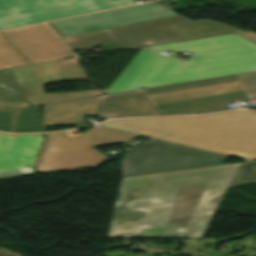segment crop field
Listing matches in <instances>:
<instances>
[{
	"label": "crop field",
	"instance_id": "f4fd0767",
	"mask_svg": "<svg viewBox=\"0 0 256 256\" xmlns=\"http://www.w3.org/2000/svg\"><path fill=\"white\" fill-rule=\"evenodd\" d=\"M72 50L117 42L122 49L142 45L191 39L241 31L233 26L207 19L193 21L180 15L65 38L52 22L48 23Z\"/></svg>",
	"mask_w": 256,
	"mask_h": 256
},
{
	"label": "crop field",
	"instance_id": "412701ff",
	"mask_svg": "<svg viewBox=\"0 0 256 256\" xmlns=\"http://www.w3.org/2000/svg\"><path fill=\"white\" fill-rule=\"evenodd\" d=\"M100 125L237 157L256 159V113L113 120Z\"/></svg>",
	"mask_w": 256,
	"mask_h": 256
},
{
	"label": "crop field",
	"instance_id": "34b2d1b8",
	"mask_svg": "<svg viewBox=\"0 0 256 256\" xmlns=\"http://www.w3.org/2000/svg\"><path fill=\"white\" fill-rule=\"evenodd\" d=\"M149 48L197 54L182 61L142 49L105 94L256 71V45L235 34Z\"/></svg>",
	"mask_w": 256,
	"mask_h": 256
},
{
	"label": "crop field",
	"instance_id": "22f410ed",
	"mask_svg": "<svg viewBox=\"0 0 256 256\" xmlns=\"http://www.w3.org/2000/svg\"><path fill=\"white\" fill-rule=\"evenodd\" d=\"M252 182H256V163L247 161L239 167L230 187Z\"/></svg>",
	"mask_w": 256,
	"mask_h": 256
},
{
	"label": "crop field",
	"instance_id": "e52e79f7",
	"mask_svg": "<svg viewBox=\"0 0 256 256\" xmlns=\"http://www.w3.org/2000/svg\"><path fill=\"white\" fill-rule=\"evenodd\" d=\"M139 136L95 126L74 138L64 132L46 134L35 165L37 174L97 167L109 160L93 146L133 141Z\"/></svg>",
	"mask_w": 256,
	"mask_h": 256
},
{
	"label": "crop field",
	"instance_id": "8a807250",
	"mask_svg": "<svg viewBox=\"0 0 256 256\" xmlns=\"http://www.w3.org/2000/svg\"><path fill=\"white\" fill-rule=\"evenodd\" d=\"M241 164L122 178L108 237H203Z\"/></svg>",
	"mask_w": 256,
	"mask_h": 256
},
{
	"label": "crop field",
	"instance_id": "28ad6ade",
	"mask_svg": "<svg viewBox=\"0 0 256 256\" xmlns=\"http://www.w3.org/2000/svg\"><path fill=\"white\" fill-rule=\"evenodd\" d=\"M44 134L6 135L0 133V179L33 175V165Z\"/></svg>",
	"mask_w": 256,
	"mask_h": 256
},
{
	"label": "crop field",
	"instance_id": "5142ce71",
	"mask_svg": "<svg viewBox=\"0 0 256 256\" xmlns=\"http://www.w3.org/2000/svg\"><path fill=\"white\" fill-rule=\"evenodd\" d=\"M253 239H255V240H256V237H253Z\"/></svg>",
	"mask_w": 256,
	"mask_h": 256
},
{
	"label": "crop field",
	"instance_id": "dd49c442",
	"mask_svg": "<svg viewBox=\"0 0 256 256\" xmlns=\"http://www.w3.org/2000/svg\"><path fill=\"white\" fill-rule=\"evenodd\" d=\"M86 78L77 58L0 71V111L103 95L106 90L46 94L47 84Z\"/></svg>",
	"mask_w": 256,
	"mask_h": 256
},
{
	"label": "crop field",
	"instance_id": "d8731c3e",
	"mask_svg": "<svg viewBox=\"0 0 256 256\" xmlns=\"http://www.w3.org/2000/svg\"><path fill=\"white\" fill-rule=\"evenodd\" d=\"M229 157L150 140L128 152L121 160L122 177L221 165Z\"/></svg>",
	"mask_w": 256,
	"mask_h": 256
},
{
	"label": "crop field",
	"instance_id": "5a996713",
	"mask_svg": "<svg viewBox=\"0 0 256 256\" xmlns=\"http://www.w3.org/2000/svg\"><path fill=\"white\" fill-rule=\"evenodd\" d=\"M134 0H0V30L106 10Z\"/></svg>",
	"mask_w": 256,
	"mask_h": 256
},
{
	"label": "crop field",
	"instance_id": "d1516ede",
	"mask_svg": "<svg viewBox=\"0 0 256 256\" xmlns=\"http://www.w3.org/2000/svg\"><path fill=\"white\" fill-rule=\"evenodd\" d=\"M39 106H32L0 112V131L2 132H44Z\"/></svg>",
	"mask_w": 256,
	"mask_h": 256
},
{
	"label": "crop field",
	"instance_id": "ac0d7876",
	"mask_svg": "<svg viewBox=\"0 0 256 256\" xmlns=\"http://www.w3.org/2000/svg\"><path fill=\"white\" fill-rule=\"evenodd\" d=\"M256 98V72L153 87L43 106L50 126L84 123L82 115L166 116L229 110L227 103Z\"/></svg>",
	"mask_w": 256,
	"mask_h": 256
},
{
	"label": "crop field",
	"instance_id": "3316defc",
	"mask_svg": "<svg viewBox=\"0 0 256 256\" xmlns=\"http://www.w3.org/2000/svg\"><path fill=\"white\" fill-rule=\"evenodd\" d=\"M171 15L176 14L151 2L110 12L54 21L53 23L65 37H68Z\"/></svg>",
	"mask_w": 256,
	"mask_h": 256
},
{
	"label": "crop field",
	"instance_id": "cbeb9de0",
	"mask_svg": "<svg viewBox=\"0 0 256 256\" xmlns=\"http://www.w3.org/2000/svg\"><path fill=\"white\" fill-rule=\"evenodd\" d=\"M0 256H22V255L18 252L0 248Z\"/></svg>",
	"mask_w": 256,
	"mask_h": 256
}]
</instances>
